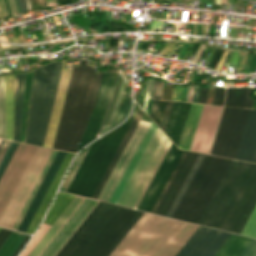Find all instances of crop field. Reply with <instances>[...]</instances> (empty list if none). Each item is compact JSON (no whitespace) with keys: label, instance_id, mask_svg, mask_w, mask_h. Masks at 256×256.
Wrapping results in <instances>:
<instances>
[{"label":"crop field","instance_id":"4a817a6b","mask_svg":"<svg viewBox=\"0 0 256 256\" xmlns=\"http://www.w3.org/2000/svg\"><path fill=\"white\" fill-rule=\"evenodd\" d=\"M222 107L204 105L190 150L209 152Z\"/></svg>","mask_w":256,"mask_h":256},{"label":"crop field","instance_id":"c39391a2","mask_svg":"<svg viewBox=\"0 0 256 256\" xmlns=\"http://www.w3.org/2000/svg\"><path fill=\"white\" fill-rule=\"evenodd\" d=\"M1 141V140H0Z\"/></svg>","mask_w":256,"mask_h":256},{"label":"crop field","instance_id":"92a150f3","mask_svg":"<svg viewBox=\"0 0 256 256\" xmlns=\"http://www.w3.org/2000/svg\"><path fill=\"white\" fill-rule=\"evenodd\" d=\"M235 158L256 162V110L254 109L249 110Z\"/></svg>","mask_w":256,"mask_h":256},{"label":"crop field","instance_id":"c035e120","mask_svg":"<svg viewBox=\"0 0 256 256\" xmlns=\"http://www.w3.org/2000/svg\"><path fill=\"white\" fill-rule=\"evenodd\" d=\"M0 138L5 139L4 76L0 77Z\"/></svg>","mask_w":256,"mask_h":256},{"label":"crop field","instance_id":"447ae74e","mask_svg":"<svg viewBox=\"0 0 256 256\" xmlns=\"http://www.w3.org/2000/svg\"><path fill=\"white\" fill-rule=\"evenodd\" d=\"M8 4H9L11 14L17 13V9L13 3V0H8Z\"/></svg>","mask_w":256,"mask_h":256},{"label":"crop field","instance_id":"dafd665d","mask_svg":"<svg viewBox=\"0 0 256 256\" xmlns=\"http://www.w3.org/2000/svg\"><path fill=\"white\" fill-rule=\"evenodd\" d=\"M156 127H157V126H156L155 124L151 123V125H150V127H149V129H148V131H147V133H146V135L144 136V138H143V140H142V142H141L139 148L137 149V151H136V153H135V155H134V157H133L131 163L129 164V166H128V168H127V170H126L124 176L122 177V179H121V181H120V183H119L117 189L115 190V192H114V194H113V196H112L110 202L116 203V201H117V199H118L120 193L122 192V190H123V188H124L126 182L128 181V179H129V177H130L132 171L134 170V168H135V166H136L138 160L140 159V157H141V155H142L144 149L146 148V146H147V144H148L150 138L152 137V135H153V133H154ZM158 129H159V128L157 127V129H156V131H155L153 137L151 138V140H150V142H149L147 148L145 149V151H144V153H143L141 159L139 160V162H138V164H137L135 170L133 171V173H132V175H131L129 181L127 182V184H126V186H125L123 192L121 193V195H120V197H119V199H118V201H117V204H118V202H119L121 196L123 195V193H124V191H125L127 185L129 184V182H130L132 176L134 175V173H135L137 167L139 166V164H140L142 158L144 157V155H145V153H146L148 147L150 146V144H151L153 138L155 137V135H156Z\"/></svg>","mask_w":256,"mask_h":256},{"label":"crop field","instance_id":"db79e9e6","mask_svg":"<svg viewBox=\"0 0 256 256\" xmlns=\"http://www.w3.org/2000/svg\"><path fill=\"white\" fill-rule=\"evenodd\" d=\"M198 91H199V87H198V86H195L192 102L197 103V99H198Z\"/></svg>","mask_w":256,"mask_h":256},{"label":"crop field","instance_id":"34b2d1b8","mask_svg":"<svg viewBox=\"0 0 256 256\" xmlns=\"http://www.w3.org/2000/svg\"><path fill=\"white\" fill-rule=\"evenodd\" d=\"M197 227L144 212L109 256H174Z\"/></svg>","mask_w":256,"mask_h":256},{"label":"crop field","instance_id":"1d83c4d3","mask_svg":"<svg viewBox=\"0 0 256 256\" xmlns=\"http://www.w3.org/2000/svg\"><path fill=\"white\" fill-rule=\"evenodd\" d=\"M125 80H126V78H122V77H118V79H117L113 99H112V102L110 104V107L108 109V112H107L106 117H105L104 122H103L104 125L110 126V124L112 122V119L114 117V114L116 112V109H117L118 104H119L120 99H121V95H122V91H123V88H124Z\"/></svg>","mask_w":256,"mask_h":256},{"label":"crop field","instance_id":"bc2a9ffb","mask_svg":"<svg viewBox=\"0 0 256 256\" xmlns=\"http://www.w3.org/2000/svg\"><path fill=\"white\" fill-rule=\"evenodd\" d=\"M71 70L72 69H65V61H62V71H61L60 83H59L55 103L53 106L50 122L48 125V129H47V133H46V137H45V141H44V145H43L45 147L52 148V146H53V142H54V138H55V134H56V130H57V126H58V122H59V118H60V114H61V110H62V106H63V102H64V98H65V94H66V90H67V86H68V82H69V78H70V74H71Z\"/></svg>","mask_w":256,"mask_h":256},{"label":"crop field","instance_id":"e52e79f7","mask_svg":"<svg viewBox=\"0 0 256 256\" xmlns=\"http://www.w3.org/2000/svg\"><path fill=\"white\" fill-rule=\"evenodd\" d=\"M132 119L91 144L67 191L91 197Z\"/></svg>","mask_w":256,"mask_h":256},{"label":"crop field","instance_id":"5142ce71","mask_svg":"<svg viewBox=\"0 0 256 256\" xmlns=\"http://www.w3.org/2000/svg\"><path fill=\"white\" fill-rule=\"evenodd\" d=\"M149 125V122L139 121L135 131L133 132L123 153L121 154L116 166L114 167L98 199L109 202L114 190L116 189L121 177L123 176L129 162L131 161Z\"/></svg>","mask_w":256,"mask_h":256},{"label":"crop field","instance_id":"0bd39190","mask_svg":"<svg viewBox=\"0 0 256 256\" xmlns=\"http://www.w3.org/2000/svg\"><path fill=\"white\" fill-rule=\"evenodd\" d=\"M173 103L174 102H170V101L161 102L156 123L163 131H165Z\"/></svg>","mask_w":256,"mask_h":256},{"label":"crop field","instance_id":"5d738f31","mask_svg":"<svg viewBox=\"0 0 256 256\" xmlns=\"http://www.w3.org/2000/svg\"><path fill=\"white\" fill-rule=\"evenodd\" d=\"M240 256H256V240L253 239L252 242L247 246Z\"/></svg>","mask_w":256,"mask_h":256},{"label":"crop field","instance_id":"1f2cbd36","mask_svg":"<svg viewBox=\"0 0 256 256\" xmlns=\"http://www.w3.org/2000/svg\"><path fill=\"white\" fill-rule=\"evenodd\" d=\"M252 91H253V89L246 88L244 107L251 108L252 98H251L250 94L252 93Z\"/></svg>","mask_w":256,"mask_h":256},{"label":"crop field","instance_id":"5866460e","mask_svg":"<svg viewBox=\"0 0 256 256\" xmlns=\"http://www.w3.org/2000/svg\"><path fill=\"white\" fill-rule=\"evenodd\" d=\"M2 143H3V141H1L0 147H1ZM8 144H9V141H4V143H3V145H2V147L0 149V160H1V158H2V156L4 154V152H5ZM17 145H18V143L10 142V144H9V146H8V148H7L5 154H4V156H3V158H2V160L0 162V178H1V176H2V174L4 172V170H5L8 162L10 161V159H11V157H12V155H13L16 147H17Z\"/></svg>","mask_w":256,"mask_h":256},{"label":"crop field","instance_id":"73cf0c24","mask_svg":"<svg viewBox=\"0 0 256 256\" xmlns=\"http://www.w3.org/2000/svg\"><path fill=\"white\" fill-rule=\"evenodd\" d=\"M161 86H162V81L160 80L155 81L152 98L160 99Z\"/></svg>","mask_w":256,"mask_h":256},{"label":"crop field","instance_id":"f4fd0767","mask_svg":"<svg viewBox=\"0 0 256 256\" xmlns=\"http://www.w3.org/2000/svg\"><path fill=\"white\" fill-rule=\"evenodd\" d=\"M231 162L205 155L172 217L198 224Z\"/></svg>","mask_w":256,"mask_h":256},{"label":"crop field","instance_id":"78b8030e","mask_svg":"<svg viewBox=\"0 0 256 256\" xmlns=\"http://www.w3.org/2000/svg\"><path fill=\"white\" fill-rule=\"evenodd\" d=\"M15 3H16V6H17V9H18V12L20 13L21 11H20V8H19V6H18V4H17V0H15Z\"/></svg>","mask_w":256,"mask_h":256},{"label":"crop field","instance_id":"d1516ede","mask_svg":"<svg viewBox=\"0 0 256 256\" xmlns=\"http://www.w3.org/2000/svg\"><path fill=\"white\" fill-rule=\"evenodd\" d=\"M118 70L119 69L110 68L107 74L103 75L95 108L77 151L97 137L101 123L111 102Z\"/></svg>","mask_w":256,"mask_h":256},{"label":"crop field","instance_id":"d9b57169","mask_svg":"<svg viewBox=\"0 0 256 256\" xmlns=\"http://www.w3.org/2000/svg\"><path fill=\"white\" fill-rule=\"evenodd\" d=\"M182 153L183 151L178 150L172 143L138 209L151 212Z\"/></svg>","mask_w":256,"mask_h":256},{"label":"crop field","instance_id":"9d1cf04e","mask_svg":"<svg viewBox=\"0 0 256 256\" xmlns=\"http://www.w3.org/2000/svg\"><path fill=\"white\" fill-rule=\"evenodd\" d=\"M194 86H188L186 101L191 102Z\"/></svg>","mask_w":256,"mask_h":256},{"label":"crop field","instance_id":"3316defc","mask_svg":"<svg viewBox=\"0 0 256 256\" xmlns=\"http://www.w3.org/2000/svg\"><path fill=\"white\" fill-rule=\"evenodd\" d=\"M169 141L170 140L159 129L150 148L148 149L135 175L133 176L124 195L122 196L119 202L120 205L134 208Z\"/></svg>","mask_w":256,"mask_h":256},{"label":"crop field","instance_id":"00972430","mask_svg":"<svg viewBox=\"0 0 256 256\" xmlns=\"http://www.w3.org/2000/svg\"><path fill=\"white\" fill-rule=\"evenodd\" d=\"M191 104L175 102L165 133L178 145Z\"/></svg>","mask_w":256,"mask_h":256},{"label":"crop field","instance_id":"dbb93151","mask_svg":"<svg viewBox=\"0 0 256 256\" xmlns=\"http://www.w3.org/2000/svg\"><path fill=\"white\" fill-rule=\"evenodd\" d=\"M182 87H173L172 100L180 101Z\"/></svg>","mask_w":256,"mask_h":256},{"label":"crop field","instance_id":"28ad6ade","mask_svg":"<svg viewBox=\"0 0 256 256\" xmlns=\"http://www.w3.org/2000/svg\"><path fill=\"white\" fill-rule=\"evenodd\" d=\"M36 147L19 143L0 180V217L24 173Z\"/></svg>","mask_w":256,"mask_h":256},{"label":"crop field","instance_id":"1d79db26","mask_svg":"<svg viewBox=\"0 0 256 256\" xmlns=\"http://www.w3.org/2000/svg\"><path fill=\"white\" fill-rule=\"evenodd\" d=\"M205 49V46H202L200 45L197 53L195 54L193 60H192V63L196 64L197 60L199 59L200 55L202 54V52L204 51Z\"/></svg>","mask_w":256,"mask_h":256},{"label":"crop field","instance_id":"ac0d7876","mask_svg":"<svg viewBox=\"0 0 256 256\" xmlns=\"http://www.w3.org/2000/svg\"><path fill=\"white\" fill-rule=\"evenodd\" d=\"M142 213L99 201L56 256H108Z\"/></svg>","mask_w":256,"mask_h":256},{"label":"crop field","instance_id":"a9b5d70f","mask_svg":"<svg viewBox=\"0 0 256 256\" xmlns=\"http://www.w3.org/2000/svg\"><path fill=\"white\" fill-rule=\"evenodd\" d=\"M72 156H73V154L67 153V155H66V157H65V159H64V161H63V163H62V165H61V167L58 171V173L56 174L48 192L46 193V195H45L37 213L35 214L32 222L29 226V228L27 230V233L32 234L33 231L38 226L39 222L41 221V219H42V217H43V215H44V213H45V211H46V209H47V207H48V205H49V203H50V201H51V199H52V197H53V195H54V193H55V191H56V189H57V187L60 183V180H61V178L63 176V173L66 169V166H67V164H68V162H69V160L71 159Z\"/></svg>","mask_w":256,"mask_h":256},{"label":"crop field","instance_id":"412701ff","mask_svg":"<svg viewBox=\"0 0 256 256\" xmlns=\"http://www.w3.org/2000/svg\"><path fill=\"white\" fill-rule=\"evenodd\" d=\"M102 74L81 61L73 67L53 148L75 152L96 102Z\"/></svg>","mask_w":256,"mask_h":256},{"label":"crop field","instance_id":"730fd06b","mask_svg":"<svg viewBox=\"0 0 256 256\" xmlns=\"http://www.w3.org/2000/svg\"><path fill=\"white\" fill-rule=\"evenodd\" d=\"M25 73L15 75L13 140L19 141Z\"/></svg>","mask_w":256,"mask_h":256},{"label":"crop field","instance_id":"e1f06a70","mask_svg":"<svg viewBox=\"0 0 256 256\" xmlns=\"http://www.w3.org/2000/svg\"><path fill=\"white\" fill-rule=\"evenodd\" d=\"M203 157H204V155L199 154V156H198V158H197V160H196L194 166L192 167V169H191V171H190V173H189L187 179L185 180V182H184V184H183L181 190L179 191V193H178V195H177V197H176L174 203L172 204V206H171V208H170V210H169V212H168V214H167L168 217H171V215H172L174 209L176 208V206H177L179 200L181 199V197H182L184 191L186 190V188H187L189 182L191 181V179H192L194 173L196 172V170H197L199 164L201 163ZM165 216H166V215H165Z\"/></svg>","mask_w":256,"mask_h":256},{"label":"crop field","instance_id":"d23c7cc5","mask_svg":"<svg viewBox=\"0 0 256 256\" xmlns=\"http://www.w3.org/2000/svg\"><path fill=\"white\" fill-rule=\"evenodd\" d=\"M223 52H224L223 49H219V48L216 49V51H215V53H214V55H213L209 65H208L209 68L215 69V67H216L219 59L221 58Z\"/></svg>","mask_w":256,"mask_h":256},{"label":"crop field","instance_id":"d32e631a","mask_svg":"<svg viewBox=\"0 0 256 256\" xmlns=\"http://www.w3.org/2000/svg\"><path fill=\"white\" fill-rule=\"evenodd\" d=\"M25 237L26 234L12 231L0 248V256H11Z\"/></svg>","mask_w":256,"mask_h":256},{"label":"crop field","instance_id":"0fb4a251","mask_svg":"<svg viewBox=\"0 0 256 256\" xmlns=\"http://www.w3.org/2000/svg\"><path fill=\"white\" fill-rule=\"evenodd\" d=\"M11 233V230L3 229L0 230V246L3 244L5 239L8 237V235Z\"/></svg>","mask_w":256,"mask_h":256},{"label":"crop field","instance_id":"89e229c0","mask_svg":"<svg viewBox=\"0 0 256 256\" xmlns=\"http://www.w3.org/2000/svg\"><path fill=\"white\" fill-rule=\"evenodd\" d=\"M208 87H200L198 103H206Z\"/></svg>","mask_w":256,"mask_h":256},{"label":"crop field","instance_id":"bd1437ed","mask_svg":"<svg viewBox=\"0 0 256 256\" xmlns=\"http://www.w3.org/2000/svg\"><path fill=\"white\" fill-rule=\"evenodd\" d=\"M74 197L72 194L58 192L44 223L52 225Z\"/></svg>","mask_w":256,"mask_h":256},{"label":"crop field","instance_id":"b80d0937","mask_svg":"<svg viewBox=\"0 0 256 256\" xmlns=\"http://www.w3.org/2000/svg\"><path fill=\"white\" fill-rule=\"evenodd\" d=\"M130 105H131L130 97L123 95L110 129L124 120L130 108Z\"/></svg>","mask_w":256,"mask_h":256},{"label":"crop field","instance_id":"425ffa30","mask_svg":"<svg viewBox=\"0 0 256 256\" xmlns=\"http://www.w3.org/2000/svg\"><path fill=\"white\" fill-rule=\"evenodd\" d=\"M171 143H172V142L170 141V143H169V145H168V147H167L166 151L164 152V154H163V156H162V158H161L160 162L158 163V165H157V167H156V169H155L154 173L152 174V176H151V178H150V180H149V182H148L147 186L145 187V189H144V191H143V193H142L141 197L139 198V200H138V202H137V204H136V206H135V209H137V207H138V205H139V203H140V201H141L142 197L144 196V194H145V192H146V190H147V188H148L149 184L151 183V181H152V179H153V177H154V175H155V173H156L157 169L159 168V166H160V164H161V162H162V160H163L164 156L166 155V153H167V151H168V149H169V147H170Z\"/></svg>","mask_w":256,"mask_h":256},{"label":"crop field","instance_id":"e1d0b9f6","mask_svg":"<svg viewBox=\"0 0 256 256\" xmlns=\"http://www.w3.org/2000/svg\"><path fill=\"white\" fill-rule=\"evenodd\" d=\"M215 4H219V0H215Z\"/></svg>","mask_w":256,"mask_h":256},{"label":"crop field","instance_id":"5a996713","mask_svg":"<svg viewBox=\"0 0 256 256\" xmlns=\"http://www.w3.org/2000/svg\"><path fill=\"white\" fill-rule=\"evenodd\" d=\"M248 110L224 107L210 154L235 157Z\"/></svg>","mask_w":256,"mask_h":256},{"label":"crop field","instance_id":"8a807250","mask_svg":"<svg viewBox=\"0 0 256 256\" xmlns=\"http://www.w3.org/2000/svg\"><path fill=\"white\" fill-rule=\"evenodd\" d=\"M256 205V164L233 160L199 224L240 234Z\"/></svg>","mask_w":256,"mask_h":256},{"label":"crop field","instance_id":"25e5ab78","mask_svg":"<svg viewBox=\"0 0 256 256\" xmlns=\"http://www.w3.org/2000/svg\"><path fill=\"white\" fill-rule=\"evenodd\" d=\"M153 83H154V80H149V79L147 80L146 96H145V102H144V107H143V110L146 113H148L147 110H146V104H147L148 99L152 95Z\"/></svg>","mask_w":256,"mask_h":256},{"label":"crop field","instance_id":"eef30255","mask_svg":"<svg viewBox=\"0 0 256 256\" xmlns=\"http://www.w3.org/2000/svg\"><path fill=\"white\" fill-rule=\"evenodd\" d=\"M203 105L192 104L178 147L189 150Z\"/></svg>","mask_w":256,"mask_h":256},{"label":"crop field","instance_id":"22f410ed","mask_svg":"<svg viewBox=\"0 0 256 256\" xmlns=\"http://www.w3.org/2000/svg\"><path fill=\"white\" fill-rule=\"evenodd\" d=\"M230 235L199 226L175 256H214Z\"/></svg>","mask_w":256,"mask_h":256},{"label":"crop field","instance_id":"ae633e8c","mask_svg":"<svg viewBox=\"0 0 256 256\" xmlns=\"http://www.w3.org/2000/svg\"><path fill=\"white\" fill-rule=\"evenodd\" d=\"M189 1H192V0H189Z\"/></svg>","mask_w":256,"mask_h":256},{"label":"crop field","instance_id":"750c4746","mask_svg":"<svg viewBox=\"0 0 256 256\" xmlns=\"http://www.w3.org/2000/svg\"><path fill=\"white\" fill-rule=\"evenodd\" d=\"M251 240V238L232 234L215 256H239Z\"/></svg>","mask_w":256,"mask_h":256},{"label":"crop field","instance_id":"d3111659","mask_svg":"<svg viewBox=\"0 0 256 256\" xmlns=\"http://www.w3.org/2000/svg\"><path fill=\"white\" fill-rule=\"evenodd\" d=\"M137 123H138V120L133 119V121H132V123H131L129 129L127 130V132H126V134H125L123 140L121 141V143H120V145H119L117 151L115 152V154H114V156H113V158H112L110 164L108 165V167H107V169H106L104 175L102 176V178H101V180H100L98 186L96 187V189H95V191H94V193H93V195H92V198L97 199V197H98V195H99L101 189L103 188V186H104V184H105L107 178L109 177V175H110V173H111L113 167L115 166V164H116V162H117V160H118L120 154L122 153V151H123V149H124L126 143L128 142V140H129V138H130L132 132L134 131V129H135Z\"/></svg>","mask_w":256,"mask_h":256},{"label":"crop field","instance_id":"214f88e0","mask_svg":"<svg viewBox=\"0 0 256 256\" xmlns=\"http://www.w3.org/2000/svg\"><path fill=\"white\" fill-rule=\"evenodd\" d=\"M66 153L58 151L49 171L47 172L39 190L37 191L28 211L26 212L18 230L26 232L35 212L37 211L45 193L47 192L56 172L58 171Z\"/></svg>","mask_w":256,"mask_h":256},{"label":"crop field","instance_id":"dd49c442","mask_svg":"<svg viewBox=\"0 0 256 256\" xmlns=\"http://www.w3.org/2000/svg\"><path fill=\"white\" fill-rule=\"evenodd\" d=\"M61 61L35 69L25 142L43 145L59 77Z\"/></svg>","mask_w":256,"mask_h":256},{"label":"crop field","instance_id":"ae1a2a85","mask_svg":"<svg viewBox=\"0 0 256 256\" xmlns=\"http://www.w3.org/2000/svg\"><path fill=\"white\" fill-rule=\"evenodd\" d=\"M14 75L5 76L6 139L12 140Z\"/></svg>","mask_w":256,"mask_h":256},{"label":"crop field","instance_id":"0f1d7ab4","mask_svg":"<svg viewBox=\"0 0 256 256\" xmlns=\"http://www.w3.org/2000/svg\"><path fill=\"white\" fill-rule=\"evenodd\" d=\"M26 2H27V5H28V8L30 10L31 6H30V3H29V0H26Z\"/></svg>","mask_w":256,"mask_h":256},{"label":"crop field","instance_id":"120bbe31","mask_svg":"<svg viewBox=\"0 0 256 256\" xmlns=\"http://www.w3.org/2000/svg\"><path fill=\"white\" fill-rule=\"evenodd\" d=\"M56 153H57V151L52 150V152H51V154H50V156H49V158H48V160H47V162H46V164H45V166H44V168H43V170H42V172H41V174H40V176H39V178H38V180H37V182H36V184L34 186V188L32 189V191H31V193H30V195H29V197H28V199H27V201H26V203H25V205H24V207H23V209H22V211H21V213H20V215H19V217H18L14 227H13L14 230L17 229V227H18V225H19L23 215L25 214V212H26V210H27V208H28L32 198L34 197V195H35V193H36L40 183L42 182V180H43V178H44V176H45L49 166L51 165V163H52Z\"/></svg>","mask_w":256,"mask_h":256},{"label":"crop field","instance_id":"c21b1889","mask_svg":"<svg viewBox=\"0 0 256 256\" xmlns=\"http://www.w3.org/2000/svg\"><path fill=\"white\" fill-rule=\"evenodd\" d=\"M241 234L256 237V207L249 220L247 221L245 227L243 228Z\"/></svg>","mask_w":256,"mask_h":256},{"label":"crop field","instance_id":"cbeb9de0","mask_svg":"<svg viewBox=\"0 0 256 256\" xmlns=\"http://www.w3.org/2000/svg\"><path fill=\"white\" fill-rule=\"evenodd\" d=\"M197 156V153L184 151L163 192L156 202L152 213L164 216L167 214Z\"/></svg>","mask_w":256,"mask_h":256},{"label":"crop field","instance_id":"03da06ac","mask_svg":"<svg viewBox=\"0 0 256 256\" xmlns=\"http://www.w3.org/2000/svg\"><path fill=\"white\" fill-rule=\"evenodd\" d=\"M50 225L42 223L41 227L35 234L34 238L28 245V247L25 249V251L21 254V256H27V254L31 251V249L36 245V243L40 240V238L44 235V233L49 229Z\"/></svg>","mask_w":256,"mask_h":256},{"label":"crop field","instance_id":"d14b1444","mask_svg":"<svg viewBox=\"0 0 256 256\" xmlns=\"http://www.w3.org/2000/svg\"><path fill=\"white\" fill-rule=\"evenodd\" d=\"M185 1H188V0H185Z\"/></svg>","mask_w":256,"mask_h":256},{"label":"crop field","instance_id":"028f5c9d","mask_svg":"<svg viewBox=\"0 0 256 256\" xmlns=\"http://www.w3.org/2000/svg\"><path fill=\"white\" fill-rule=\"evenodd\" d=\"M245 88H227L225 105L243 107Z\"/></svg>","mask_w":256,"mask_h":256},{"label":"crop field","instance_id":"0765c3eb","mask_svg":"<svg viewBox=\"0 0 256 256\" xmlns=\"http://www.w3.org/2000/svg\"><path fill=\"white\" fill-rule=\"evenodd\" d=\"M30 236L27 235V237L24 239V241L21 243V245L18 247V249L15 251V253L12 256H16L18 252L22 249V247L26 244Z\"/></svg>","mask_w":256,"mask_h":256},{"label":"crop field","instance_id":"d8731c3e","mask_svg":"<svg viewBox=\"0 0 256 256\" xmlns=\"http://www.w3.org/2000/svg\"><path fill=\"white\" fill-rule=\"evenodd\" d=\"M51 150L37 147L1 219L0 226L12 228Z\"/></svg>","mask_w":256,"mask_h":256},{"label":"crop field","instance_id":"4177f3b9","mask_svg":"<svg viewBox=\"0 0 256 256\" xmlns=\"http://www.w3.org/2000/svg\"><path fill=\"white\" fill-rule=\"evenodd\" d=\"M83 197L76 196L75 199L70 203V205L65 209L61 216L56 220L52 227L47 231V233L42 237L38 244L33 248L28 256H37L41 250L46 246L50 239L55 235V233L60 229L64 222L69 218L73 211L78 207V205L83 201Z\"/></svg>","mask_w":256,"mask_h":256},{"label":"crop field","instance_id":"b54c1fbb","mask_svg":"<svg viewBox=\"0 0 256 256\" xmlns=\"http://www.w3.org/2000/svg\"><path fill=\"white\" fill-rule=\"evenodd\" d=\"M224 92H225L224 88L216 87L213 104L223 105Z\"/></svg>","mask_w":256,"mask_h":256},{"label":"crop field","instance_id":"7b73153f","mask_svg":"<svg viewBox=\"0 0 256 256\" xmlns=\"http://www.w3.org/2000/svg\"><path fill=\"white\" fill-rule=\"evenodd\" d=\"M18 3L20 5V7H21L22 12L28 10L25 0H18Z\"/></svg>","mask_w":256,"mask_h":256},{"label":"crop field","instance_id":"733c2abd","mask_svg":"<svg viewBox=\"0 0 256 256\" xmlns=\"http://www.w3.org/2000/svg\"><path fill=\"white\" fill-rule=\"evenodd\" d=\"M97 202V200L85 198L38 256H55Z\"/></svg>","mask_w":256,"mask_h":256}]
</instances>
